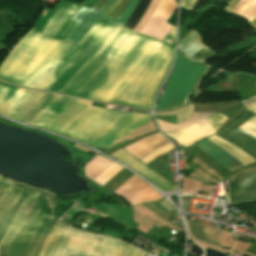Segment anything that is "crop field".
Returning <instances> with one entry per match:
<instances>
[{
	"label": "crop field",
	"instance_id": "obj_1",
	"mask_svg": "<svg viewBox=\"0 0 256 256\" xmlns=\"http://www.w3.org/2000/svg\"><path fill=\"white\" fill-rule=\"evenodd\" d=\"M40 192L0 177V231L34 240L50 212L34 241L0 232V256L36 255L56 221L55 198L43 191L39 197Z\"/></svg>",
	"mask_w": 256,
	"mask_h": 256
},
{
	"label": "crop field",
	"instance_id": "obj_2",
	"mask_svg": "<svg viewBox=\"0 0 256 256\" xmlns=\"http://www.w3.org/2000/svg\"><path fill=\"white\" fill-rule=\"evenodd\" d=\"M127 244L60 222L54 226L38 256H145Z\"/></svg>",
	"mask_w": 256,
	"mask_h": 256
},
{
	"label": "crop field",
	"instance_id": "obj_3",
	"mask_svg": "<svg viewBox=\"0 0 256 256\" xmlns=\"http://www.w3.org/2000/svg\"><path fill=\"white\" fill-rule=\"evenodd\" d=\"M202 67L201 64L190 62L179 52L174 71L157 110L173 109L186 103Z\"/></svg>",
	"mask_w": 256,
	"mask_h": 256
},
{
	"label": "crop field",
	"instance_id": "obj_4",
	"mask_svg": "<svg viewBox=\"0 0 256 256\" xmlns=\"http://www.w3.org/2000/svg\"><path fill=\"white\" fill-rule=\"evenodd\" d=\"M229 198L231 205L256 200V163L229 177Z\"/></svg>",
	"mask_w": 256,
	"mask_h": 256
},
{
	"label": "crop field",
	"instance_id": "obj_5",
	"mask_svg": "<svg viewBox=\"0 0 256 256\" xmlns=\"http://www.w3.org/2000/svg\"><path fill=\"white\" fill-rule=\"evenodd\" d=\"M114 193L122 195L128 202L136 205L140 202L161 200L159 193L137 176H132Z\"/></svg>",
	"mask_w": 256,
	"mask_h": 256
},
{
	"label": "crop field",
	"instance_id": "obj_6",
	"mask_svg": "<svg viewBox=\"0 0 256 256\" xmlns=\"http://www.w3.org/2000/svg\"><path fill=\"white\" fill-rule=\"evenodd\" d=\"M176 2L175 0H161L159 5L156 7L152 17L147 22L145 27L140 31V33L146 35L149 30L158 22V20L164 16L169 18V16L172 14V12L176 8ZM162 17L159 22L150 30V32L147 34V36L152 37L155 32L164 24V22L167 20V18ZM173 28V26L164 24L157 33L153 36V38H157L162 40L164 36Z\"/></svg>",
	"mask_w": 256,
	"mask_h": 256
},
{
	"label": "crop field",
	"instance_id": "obj_7",
	"mask_svg": "<svg viewBox=\"0 0 256 256\" xmlns=\"http://www.w3.org/2000/svg\"><path fill=\"white\" fill-rule=\"evenodd\" d=\"M112 163L113 162H111L101 156H96L85 165V175L89 179L93 180L102 171H104L107 167H109ZM121 169H122V167H120L114 163L93 181H95L99 185L103 186L107 181H109Z\"/></svg>",
	"mask_w": 256,
	"mask_h": 256
},
{
	"label": "crop field",
	"instance_id": "obj_8",
	"mask_svg": "<svg viewBox=\"0 0 256 256\" xmlns=\"http://www.w3.org/2000/svg\"><path fill=\"white\" fill-rule=\"evenodd\" d=\"M112 1L113 0H109L108 3L106 4V6L99 13L93 12L91 10H88V9L82 7L81 10L73 18V20H75L79 23L74 28V30L70 33V35L67 37L66 40L79 43L81 38L88 31V29L91 27V25L94 23V21L97 19L98 16L115 22V19H112L108 16L101 14L109 6V4Z\"/></svg>",
	"mask_w": 256,
	"mask_h": 256
},
{
	"label": "crop field",
	"instance_id": "obj_9",
	"mask_svg": "<svg viewBox=\"0 0 256 256\" xmlns=\"http://www.w3.org/2000/svg\"><path fill=\"white\" fill-rule=\"evenodd\" d=\"M210 114H212V113H194L193 117L190 120H188L184 123H181V124H176V125L170 124V123H167L164 121H160L157 119L156 120H157V123H158L160 129L163 132H169V131H173V130H177V129H181V128H187V127L195 124L196 122L204 119L205 117L209 116ZM227 118L228 117H226L220 113H214L205 119L212 126V128L214 130H217Z\"/></svg>",
	"mask_w": 256,
	"mask_h": 256
},
{
	"label": "crop field",
	"instance_id": "obj_10",
	"mask_svg": "<svg viewBox=\"0 0 256 256\" xmlns=\"http://www.w3.org/2000/svg\"><path fill=\"white\" fill-rule=\"evenodd\" d=\"M196 145H198L202 150H204L207 154H209L231 172L244 166L230 154L223 151L207 139L196 143Z\"/></svg>",
	"mask_w": 256,
	"mask_h": 256
},
{
	"label": "crop field",
	"instance_id": "obj_11",
	"mask_svg": "<svg viewBox=\"0 0 256 256\" xmlns=\"http://www.w3.org/2000/svg\"><path fill=\"white\" fill-rule=\"evenodd\" d=\"M166 140L159 133L147 136L131 145L124 147L129 153H131L138 160L151 153L150 147Z\"/></svg>",
	"mask_w": 256,
	"mask_h": 256
},
{
	"label": "crop field",
	"instance_id": "obj_12",
	"mask_svg": "<svg viewBox=\"0 0 256 256\" xmlns=\"http://www.w3.org/2000/svg\"><path fill=\"white\" fill-rule=\"evenodd\" d=\"M207 139H209L210 141L215 143L220 148L226 150L228 153H230L233 157H235L237 160H239L244 165L256 161L252 157H250L248 154L243 152L242 150L238 149L234 145L224 141L223 139H221L215 135H213Z\"/></svg>",
	"mask_w": 256,
	"mask_h": 256
},
{
	"label": "crop field",
	"instance_id": "obj_13",
	"mask_svg": "<svg viewBox=\"0 0 256 256\" xmlns=\"http://www.w3.org/2000/svg\"><path fill=\"white\" fill-rule=\"evenodd\" d=\"M151 0H139L132 15L129 17V19L125 22L124 26L134 29V27L137 25L140 17L143 15V13L146 11L149 3Z\"/></svg>",
	"mask_w": 256,
	"mask_h": 256
},
{
	"label": "crop field",
	"instance_id": "obj_14",
	"mask_svg": "<svg viewBox=\"0 0 256 256\" xmlns=\"http://www.w3.org/2000/svg\"><path fill=\"white\" fill-rule=\"evenodd\" d=\"M204 46L200 36L198 33L181 49L188 56L191 57L199 50H201Z\"/></svg>",
	"mask_w": 256,
	"mask_h": 256
},
{
	"label": "crop field",
	"instance_id": "obj_15",
	"mask_svg": "<svg viewBox=\"0 0 256 256\" xmlns=\"http://www.w3.org/2000/svg\"><path fill=\"white\" fill-rule=\"evenodd\" d=\"M129 1L130 0H114L103 14L117 19Z\"/></svg>",
	"mask_w": 256,
	"mask_h": 256
},
{
	"label": "crop field",
	"instance_id": "obj_16",
	"mask_svg": "<svg viewBox=\"0 0 256 256\" xmlns=\"http://www.w3.org/2000/svg\"><path fill=\"white\" fill-rule=\"evenodd\" d=\"M203 227L207 242L220 246L221 229L205 225Z\"/></svg>",
	"mask_w": 256,
	"mask_h": 256
},
{
	"label": "crop field",
	"instance_id": "obj_17",
	"mask_svg": "<svg viewBox=\"0 0 256 256\" xmlns=\"http://www.w3.org/2000/svg\"><path fill=\"white\" fill-rule=\"evenodd\" d=\"M229 135L233 136L234 138L238 139L239 141L245 143L246 145L250 146L256 151V139L251 137L250 135L246 134L240 129L234 130Z\"/></svg>",
	"mask_w": 256,
	"mask_h": 256
},
{
	"label": "crop field",
	"instance_id": "obj_18",
	"mask_svg": "<svg viewBox=\"0 0 256 256\" xmlns=\"http://www.w3.org/2000/svg\"><path fill=\"white\" fill-rule=\"evenodd\" d=\"M173 114H177V123L190 119L191 116L193 115V105L191 104L185 108H182L174 112L157 113L155 115H173Z\"/></svg>",
	"mask_w": 256,
	"mask_h": 256
},
{
	"label": "crop field",
	"instance_id": "obj_19",
	"mask_svg": "<svg viewBox=\"0 0 256 256\" xmlns=\"http://www.w3.org/2000/svg\"><path fill=\"white\" fill-rule=\"evenodd\" d=\"M255 1L256 0H241L234 8L233 12L246 17Z\"/></svg>",
	"mask_w": 256,
	"mask_h": 256
},
{
	"label": "crop field",
	"instance_id": "obj_20",
	"mask_svg": "<svg viewBox=\"0 0 256 256\" xmlns=\"http://www.w3.org/2000/svg\"><path fill=\"white\" fill-rule=\"evenodd\" d=\"M238 128L256 138V115L241 124Z\"/></svg>",
	"mask_w": 256,
	"mask_h": 256
},
{
	"label": "crop field",
	"instance_id": "obj_21",
	"mask_svg": "<svg viewBox=\"0 0 256 256\" xmlns=\"http://www.w3.org/2000/svg\"><path fill=\"white\" fill-rule=\"evenodd\" d=\"M137 0H131L129 4L126 6L125 10L121 14V16L116 20V23L123 25L124 22L128 19L130 16Z\"/></svg>",
	"mask_w": 256,
	"mask_h": 256
},
{
	"label": "crop field",
	"instance_id": "obj_22",
	"mask_svg": "<svg viewBox=\"0 0 256 256\" xmlns=\"http://www.w3.org/2000/svg\"><path fill=\"white\" fill-rule=\"evenodd\" d=\"M216 52L205 47L204 49H202L200 52H198L197 54H195L193 57H191V59L193 60H199V61H206L208 58H210L213 54H215Z\"/></svg>",
	"mask_w": 256,
	"mask_h": 256
},
{
	"label": "crop field",
	"instance_id": "obj_23",
	"mask_svg": "<svg viewBox=\"0 0 256 256\" xmlns=\"http://www.w3.org/2000/svg\"><path fill=\"white\" fill-rule=\"evenodd\" d=\"M247 108L256 113V97L250 98L242 102Z\"/></svg>",
	"mask_w": 256,
	"mask_h": 256
},
{
	"label": "crop field",
	"instance_id": "obj_24",
	"mask_svg": "<svg viewBox=\"0 0 256 256\" xmlns=\"http://www.w3.org/2000/svg\"><path fill=\"white\" fill-rule=\"evenodd\" d=\"M210 70V68L205 67V69L203 70V72L201 73V75L198 77V79L196 80V85L194 88V92L193 95H195L200 87L201 81L203 79V77L207 74V72Z\"/></svg>",
	"mask_w": 256,
	"mask_h": 256
},
{
	"label": "crop field",
	"instance_id": "obj_25",
	"mask_svg": "<svg viewBox=\"0 0 256 256\" xmlns=\"http://www.w3.org/2000/svg\"><path fill=\"white\" fill-rule=\"evenodd\" d=\"M98 0H84V2L78 7V9L69 17L70 19L73 18V16L76 14V12L82 7H86L91 9L93 5L97 2Z\"/></svg>",
	"mask_w": 256,
	"mask_h": 256
},
{
	"label": "crop field",
	"instance_id": "obj_26",
	"mask_svg": "<svg viewBox=\"0 0 256 256\" xmlns=\"http://www.w3.org/2000/svg\"><path fill=\"white\" fill-rule=\"evenodd\" d=\"M175 28H176V26L165 36L163 41L170 43V44L174 41Z\"/></svg>",
	"mask_w": 256,
	"mask_h": 256
},
{
	"label": "crop field",
	"instance_id": "obj_27",
	"mask_svg": "<svg viewBox=\"0 0 256 256\" xmlns=\"http://www.w3.org/2000/svg\"><path fill=\"white\" fill-rule=\"evenodd\" d=\"M197 32L191 31L179 44V47L181 48L184 44H186Z\"/></svg>",
	"mask_w": 256,
	"mask_h": 256
},
{
	"label": "crop field",
	"instance_id": "obj_28",
	"mask_svg": "<svg viewBox=\"0 0 256 256\" xmlns=\"http://www.w3.org/2000/svg\"><path fill=\"white\" fill-rule=\"evenodd\" d=\"M255 16H256V3L253 6V8L251 9L249 15L247 16V19H249L251 22Z\"/></svg>",
	"mask_w": 256,
	"mask_h": 256
},
{
	"label": "crop field",
	"instance_id": "obj_29",
	"mask_svg": "<svg viewBox=\"0 0 256 256\" xmlns=\"http://www.w3.org/2000/svg\"><path fill=\"white\" fill-rule=\"evenodd\" d=\"M240 0H232L226 7L225 9H228L230 11L233 10V8L237 5V3L239 2Z\"/></svg>",
	"mask_w": 256,
	"mask_h": 256
},
{
	"label": "crop field",
	"instance_id": "obj_30",
	"mask_svg": "<svg viewBox=\"0 0 256 256\" xmlns=\"http://www.w3.org/2000/svg\"><path fill=\"white\" fill-rule=\"evenodd\" d=\"M108 0H104L100 5L99 7L96 9L97 12H99L104 6L105 4L107 3Z\"/></svg>",
	"mask_w": 256,
	"mask_h": 256
},
{
	"label": "crop field",
	"instance_id": "obj_31",
	"mask_svg": "<svg viewBox=\"0 0 256 256\" xmlns=\"http://www.w3.org/2000/svg\"><path fill=\"white\" fill-rule=\"evenodd\" d=\"M196 2H197V0H190L188 8L193 9L195 4H196Z\"/></svg>",
	"mask_w": 256,
	"mask_h": 256
},
{
	"label": "crop field",
	"instance_id": "obj_32",
	"mask_svg": "<svg viewBox=\"0 0 256 256\" xmlns=\"http://www.w3.org/2000/svg\"><path fill=\"white\" fill-rule=\"evenodd\" d=\"M189 0H183L181 5L187 7Z\"/></svg>",
	"mask_w": 256,
	"mask_h": 256
},
{
	"label": "crop field",
	"instance_id": "obj_33",
	"mask_svg": "<svg viewBox=\"0 0 256 256\" xmlns=\"http://www.w3.org/2000/svg\"><path fill=\"white\" fill-rule=\"evenodd\" d=\"M103 0H99L98 3L92 8L93 10H95L97 8V6L102 2Z\"/></svg>",
	"mask_w": 256,
	"mask_h": 256
},
{
	"label": "crop field",
	"instance_id": "obj_34",
	"mask_svg": "<svg viewBox=\"0 0 256 256\" xmlns=\"http://www.w3.org/2000/svg\"><path fill=\"white\" fill-rule=\"evenodd\" d=\"M251 25H253L254 27H256V17H255L254 20L252 21Z\"/></svg>",
	"mask_w": 256,
	"mask_h": 256
},
{
	"label": "crop field",
	"instance_id": "obj_35",
	"mask_svg": "<svg viewBox=\"0 0 256 256\" xmlns=\"http://www.w3.org/2000/svg\"><path fill=\"white\" fill-rule=\"evenodd\" d=\"M222 1L229 3L231 0H222Z\"/></svg>",
	"mask_w": 256,
	"mask_h": 256
}]
</instances>
